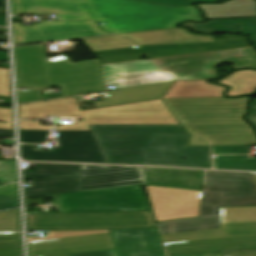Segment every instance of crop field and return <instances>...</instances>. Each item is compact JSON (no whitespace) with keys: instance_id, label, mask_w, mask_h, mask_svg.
Here are the masks:
<instances>
[{"instance_id":"obj_23","label":"crop field","mask_w":256,"mask_h":256,"mask_svg":"<svg viewBox=\"0 0 256 256\" xmlns=\"http://www.w3.org/2000/svg\"><path fill=\"white\" fill-rule=\"evenodd\" d=\"M133 1L165 4V5H173V6H187L195 2H210V1H221V0H133Z\"/></svg>"},{"instance_id":"obj_8","label":"crop field","mask_w":256,"mask_h":256,"mask_svg":"<svg viewBox=\"0 0 256 256\" xmlns=\"http://www.w3.org/2000/svg\"><path fill=\"white\" fill-rule=\"evenodd\" d=\"M202 203L218 207L256 206L249 173L207 171Z\"/></svg>"},{"instance_id":"obj_26","label":"crop field","mask_w":256,"mask_h":256,"mask_svg":"<svg viewBox=\"0 0 256 256\" xmlns=\"http://www.w3.org/2000/svg\"><path fill=\"white\" fill-rule=\"evenodd\" d=\"M20 130H49V126H41V121H19Z\"/></svg>"},{"instance_id":"obj_31","label":"crop field","mask_w":256,"mask_h":256,"mask_svg":"<svg viewBox=\"0 0 256 256\" xmlns=\"http://www.w3.org/2000/svg\"><path fill=\"white\" fill-rule=\"evenodd\" d=\"M188 146H210L209 142L204 139H189Z\"/></svg>"},{"instance_id":"obj_13","label":"crop field","mask_w":256,"mask_h":256,"mask_svg":"<svg viewBox=\"0 0 256 256\" xmlns=\"http://www.w3.org/2000/svg\"><path fill=\"white\" fill-rule=\"evenodd\" d=\"M173 83L174 81L107 92V100L94 103L99 108L162 99Z\"/></svg>"},{"instance_id":"obj_33","label":"crop field","mask_w":256,"mask_h":256,"mask_svg":"<svg viewBox=\"0 0 256 256\" xmlns=\"http://www.w3.org/2000/svg\"><path fill=\"white\" fill-rule=\"evenodd\" d=\"M0 129L13 130L12 124H0Z\"/></svg>"},{"instance_id":"obj_12","label":"crop field","mask_w":256,"mask_h":256,"mask_svg":"<svg viewBox=\"0 0 256 256\" xmlns=\"http://www.w3.org/2000/svg\"><path fill=\"white\" fill-rule=\"evenodd\" d=\"M120 36L133 40L139 45L214 42L212 36L190 34L188 30L182 28L121 34Z\"/></svg>"},{"instance_id":"obj_2","label":"crop field","mask_w":256,"mask_h":256,"mask_svg":"<svg viewBox=\"0 0 256 256\" xmlns=\"http://www.w3.org/2000/svg\"><path fill=\"white\" fill-rule=\"evenodd\" d=\"M107 163L212 168L210 147H187L179 125H90Z\"/></svg>"},{"instance_id":"obj_16","label":"crop field","mask_w":256,"mask_h":256,"mask_svg":"<svg viewBox=\"0 0 256 256\" xmlns=\"http://www.w3.org/2000/svg\"><path fill=\"white\" fill-rule=\"evenodd\" d=\"M205 81H176L164 98L223 97L222 93L226 90L225 87Z\"/></svg>"},{"instance_id":"obj_20","label":"crop field","mask_w":256,"mask_h":256,"mask_svg":"<svg viewBox=\"0 0 256 256\" xmlns=\"http://www.w3.org/2000/svg\"><path fill=\"white\" fill-rule=\"evenodd\" d=\"M213 162L215 168L256 170V159H249L248 155L217 156Z\"/></svg>"},{"instance_id":"obj_9","label":"crop field","mask_w":256,"mask_h":256,"mask_svg":"<svg viewBox=\"0 0 256 256\" xmlns=\"http://www.w3.org/2000/svg\"><path fill=\"white\" fill-rule=\"evenodd\" d=\"M20 150L25 160L106 163L91 131H59L57 150H34L30 145H20Z\"/></svg>"},{"instance_id":"obj_27","label":"crop field","mask_w":256,"mask_h":256,"mask_svg":"<svg viewBox=\"0 0 256 256\" xmlns=\"http://www.w3.org/2000/svg\"><path fill=\"white\" fill-rule=\"evenodd\" d=\"M18 207V197H0V210Z\"/></svg>"},{"instance_id":"obj_5","label":"crop field","mask_w":256,"mask_h":256,"mask_svg":"<svg viewBox=\"0 0 256 256\" xmlns=\"http://www.w3.org/2000/svg\"><path fill=\"white\" fill-rule=\"evenodd\" d=\"M23 180L34 185L24 189V198L143 184L139 167L51 163H36V171H23Z\"/></svg>"},{"instance_id":"obj_24","label":"crop field","mask_w":256,"mask_h":256,"mask_svg":"<svg viewBox=\"0 0 256 256\" xmlns=\"http://www.w3.org/2000/svg\"><path fill=\"white\" fill-rule=\"evenodd\" d=\"M213 154H249L248 146L212 147Z\"/></svg>"},{"instance_id":"obj_25","label":"crop field","mask_w":256,"mask_h":256,"mask_svg":"<svg viewBox=\"0 0 256 256\" xmlns=\"http://www.w3.org/2000/svg\"><path fill=\"white\" fill-rule=\"evenodd\" d=\"M18 103L42 100L40 91H17Z\"/></svg>"},{"instance_id":"obj_10","label":"crop field","mask_w":256,"mask_h":256,"mask_svg":"<svg viewBox=\"0 0 256 256\" xmlns=\"http://www.w3.org/2000/svg\"><path fill=\"white\" fill-rule=\"evenodd\" d=\"M146 187L156 222L199 217L201 191Z\"/></svg>"},{"instance_id":"obj_18","label":"crop field","mask_w":256,"mask_h":256,"mask_svg":"<svg viewBox=\"0 0 256 256\" xmlns=\"http://www.w3.org/2000/svg\"><path fill=\"white\" fill-rule=\"evenodd\" d=\"M175 80L162 72L147 75L124 76L104 79L107 86L114 85L116 89L139 85L153 84Z\"/></svg>"},{"instance_id":"obj_4","label":"crop field","mask_w":256,"mask_h":256,"mask_svg":"<svg viewBox=\"0 0 256 256\" xmlns=\"http://www.w3.org/2000/svg\"><path fill=\"white\" fill-rule=\"evenodd\" d=\"M17 86H61L62 97L104 91L98 59L72 63L65 55L46 59L45 44L14 47Z\"/></svg>"},{"instance_id":"obj_15","label":"crop field","mask_w":256,"mask_h":256,"mask_svg":"<svg viewBox=\"0 0 256 256\" xmlns=\"http://www.w3.org/2000/svg\"><path fill=\"white\" fill-rule=\"evenodd\" d=\"M182 26L191 27L198 33H244L249 35L253 44L256 45V18L209 21L206 24L185 23ZM237 27H241V29H237Z\"/></svg>"},{"instance_id":"obj_7","label":"crop field","mask_w":256,"mask_h":256,"mask_svg":"<svg viewBox=\"0 0 256 256\" xmlns=\"http://www.w3.org/2000/svg\"><path fill=\"white\" fill-rule=\"evenodd\" d=\"M222 61H233L234 68H256V53L253 48L212 52L103 65V71L104 78L162 71L176 80L207 79L217 76L213 67Z\"/></svg>"},{"instance_id":"obj_34","label":"crop field","mask_w":256,"mask_h":256,"mask_svg":"<svg viewBox=\"0 0 256 256\" xmlns=\"http://www.w3.org/2000/svg\"><path fill=\"white\" fill-rule=\"evenodd\" d=\"M0 26H6L5 19H0Z\"/></svg>"},{"instance_id":"obj_11","label":"crop field","mask_w":256,"mask_h":256,"mask_svg":"<svg viewBox=\"0 0 256 256\" xmlns=\"http://www.w3.org/2000/svg\"><path fill=\"white\" fill-rule=\"evenodd\" d=\"M118 256H165L156 229L110 230Z\"/></svg>"},{"instance_id":"obj_22","label":"crop field","mask_w":256,"mask_h":256,"mask_svg":"<svg viewBox=\"0 0 256 256\" xmlns=\"http://www.w3.org/2000/svg\"><path fill=\"white\" fill-rule=\"evenodd\" d=\"M49 131H20V143L45 142Z\"/></svg>"},{"instance_id":"obj_3","label":"crop field","mask_w":256,"mask_h":256,"mask_svg":"<svg viewBox=\"0 0 256 256\" xmlns=\"http://www.w3.org/2000/svg\"><path fill=\"white\" fill-rule=\"evenodd\" d=\"M249 97L164 99L190 138L207 139L212 146L254 145L256 138L241 119Z\"/></svg>"},{"instance_id":"obj_28","label":"crop field","mask_w":256,"mask_h":256,"mask_svg":"<svg viewBox=\"0 0 256 256\" xmlns=\"http://www.w3.org/2000/svg\"><path fill=\"white\" fill-rule=\"evenodd\" d=\"M70 256H117L116 250H105V251H97V252H88V253H81V254H73Z\"/></svg>"},{"instance_id":"obj_30","label":"crop field","mask_w":256,"mask_h":256,"mask_svg":"<svg viewBox=\"0 0 256 256\" xmlns=\"http://www.w3.org/2000/svg\"><path fill=\"white\" fill-rule=\"evenodd\" d=\"M251 112L247 115V119L256 127V99L251 102Z\"/></svg>"},{"instance_id":"obj_21","label":"crop field","mask_w":256,"mask_h":256,"mask_svg":"<svg viewBox=\"0 0 256 256\" xmlns=\"http://www.w3.org/2000/svg\"><path fill=\"white\" fill-rule=\"evenodd\" d=\"M0 96L11 97L9 71L0 70ZM0 121L13 122L12 109L0 108Z\"/></svg>"},{"instance_id":"obj_1","label":"crop field","mask_w":256,"mask_h":256,"mask_svg":"<svg viewBox=\"0 0 256 256\" xmlns=\"http://www.w3.org/2000/svg\"><path fill=\"white\" fill-rule=\"evenodd\" d=\"M12 14H57L58 20H96L42 22L33 27L13 23L14 45L172 28L183 20L203 21L194 6L176 8L125 0H12Z\"/></svg>"},{"instance_id":"obj_6","label":"crop field","mask_w":256,"mask_h":256,"mask_svg":"<svg viewBox=\"0 0 256 256\" xmlns=\"http://www.w3.org/2000/svg\"><path fill=\"white\" fill-rule=\"evenodd\" d=\"M19 119L43 116H82L76 125H60L57 130H90L89 124H179L161 100L80 111L75 98L18 106Z\"/></svg>"},{"instance_id":"obj_29","label":"crop field","mask_w":256,"mask_h":256,"mask_svg":"<svg viewBox=\"0 0 256 256\" xmlns=\"http://www.w3.org/2000/svg\"><path fill=\"white\" fill-rule=\"evenodd\" d=\"M0 196H17V184H10L1 188Z\"/></svg>"},{"instance_id":"obj_17","label":"crop field","mask_w":256,"mask_h":256,"mask_svg":"<svg viewBox=\"0 0 256 256\" xmlns=\"http://www.w3.org/2000/svg\"><path fill=\"white\" fill-rule=\"evenodd\" d=\"M230 87L227 95L237 96L241 94H251L256 90V71L241 70L220 81Z\"/></svg>"},{"instance_id":"obj_14","label":"crop field","mask_w":256,"mask_h":256,"mask_svg":"<svg viewBox=\"0 0 256 256\" xmlns=\"http://www.w3.org/2000/svg\"><path fill=\"white\" fill-rule=\"evenodd\" d=\"M220 208L203 205L200 218L156 224L159 235L220 228Z\"/></svg>"},{"instance_id":"obj_19","label":"crop field","mask_w":256,"mask_h":256,"mask_svg":"<svg viewBox=\"0 0 256 256\" xmlns=\"http://www.w3.org/2000/svg\"><path fill=\"white\" fill-rule=\"evenodd\" d=\"M83 40L92 51L138 46L119 36L87 38Z\"/></svg>"},{"instance_id":"obj_32","label":"crop field","mask_w":256,"mask_h":256,"mask_svg":"<svg viewBox=\"0 0 256 256\" xmlns=\"http://www.w3.org/2000/svg\"><path fill=\"white\" fill-rule=\"evenodd\" d=\"M0 138H13V131L0 130Z\"/></svg>"}]
</instances>
